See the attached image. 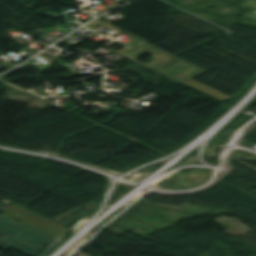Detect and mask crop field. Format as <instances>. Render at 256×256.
Instances as JSON below:
<instances>
[{"label": "crop field", "instance_id": "crop-field-4", "mask_svg": "<svg viewBox=\"0 0 256 256\" xmlns=\"http://www.w3.org/2000/svg\"><path fill=\"white\" fill-rule=\"evenodd\" d=\"M0 66H1V67H3V68H5V69H8V70H10V69H12V68H14V67H15V66H14V67H12V66L8 65V64H7V63H5V62H4V63H1V64H0Z\"/></svg>", "mask_w": 256, "mask_h": 256}, {"label": "crop field", "instance_id": "crop-field-5", "mask_svg": "<svg viewBox=\"0 0 256 256\" xmlns=\"http://www.w3.org/2000/svg\"><path fill=\"white\" fill-rule=\"evenodd\" d=\"M1 54V53H0Z\"/></svg>", "mask_w": 256, "mask_h": 256}, {"label": "crop field", "instance_id": "crop-field-1", "mask_svg": "<svg viewBox=\"0 0 256 256\" xmlns=\"http://www.w3.org/2000/svg\"><path fill=\"white\" fill-rule=\"evenodd\" d=\"M125 54H127L128 56H130L131 58L137 60L139 59L141 56H143L146 53H150L153 55V59L146 63V65L148 66H152L162 60H165L173 55L164 52L158 48H155L147 43H144L140 46H137L131 50H128L126 52H124ZM162 73H165L177 80H180L184 83H187L189 85H192L222 101H225L231 97L216 91L206 85H203L193 79H191L192 77L206 71L198 66H195L177 56H174L154 67H152Z\"/></svg>", "mask_w": 256, "mask_h": 256}, {"label": "crop field", "instance_id": "crop-field-3", "mask_svg": "<svg viewBox=\"0 0 256 256\" xmlns=\"http://www.w3.org/2000/svg\"><path fill=\"white\" fill-rule=\"evenodd\" d=\"M0 211L4 212L3 215L53 238H55L64 229V227L14 204L1 208Z\"/></svg>", "mask_w": 256, "mask_h": 256}, {"label": "crop field", "instance_id": "crop-field-2", "mask_svg": "<svg viewBox=\"0 0 256 256\" xmlns=\"http://www.w3.org/2000/svg\"><path fill=\"white\" fill-rule=\"evenodd\" d=\"M0 234H6L0 240L30 255H35L42 244L49 246L56 241L24 225L13 223L4 216L0 217Z\"/></svg>", "mask_w": 256, "mask_h": 256}]
</instances>
